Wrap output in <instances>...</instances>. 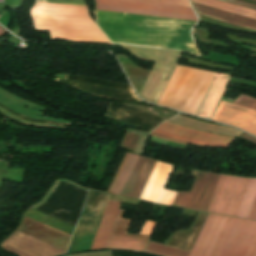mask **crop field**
Masks as SVG:
<instances>
[{"label": "crop field", "instance_id": "obj_1", "mask_svg": "<svg viewBox=\"0 0 256 256\" xmlns=\"http://www.w3.org/2000/svg\"><path fill=\"white\" fill-rule=\"evenodd\" d=\"M195 23L97 10V24L112 42L180 49L199 55L190 35Z\"/></svg>", "mask_w": 256, "mask_h": 256}, {"label": "crop field", "instance_id": "obj_2", "mask_svg": "<svg viewBox=\"0 0 256 256\" xmlns=\"http://www.w3.org/2000/svg\"><path fill=\"white\" fill-rule=\"evenodd\" d=\"M215 73L177 66L159 105L195 115ZM230 75L216 73L196 115L211 118ZM158 104V103H157Z\"/></svg>", "mask_w": 256, "mask_h": 256}, {"label": "crop field", "instance_id": "obj_3", "mask_svg": "<svg viewBox=\"0 0 256 256\" xmlns=\"http://www.w3.org/2000/svg\"><path fill=\"white\" fill-rule=\"evenodd\" d=\"M30 14L35 30H49L51 39L110 44L88 16L86 7L36 3Z\"/></svg>", "mask_w": 256, "mask_h": 256}, {"label": "crop field", "instance_id": "obj_4", "mask_svg": "<svg viewBox=\"0 0 256 256\" xmlns=\"http://www.w3.org/2000/svg\"><path fill=\"white\" fill-rule=\"evenodd\" d=\"M97 9L198 21L192 8L126 0H96Z\"/></svg>", "mask_w": 256, "mask_h": 256}, {"label": "crop field", "instance_id": "obj_5", "mask_svg": "<svg viewBox=\"0 0 256 256\" xmlns=\"http://www.w3.org/2000/svg\"><path fill=\"white\" fill-rule=\"evenodd\" d=\"M151 135L187 145L191 143L195 145L228 146L235 139L234 137L204 132L170 122L159 125Z\"/></svg>", "mask_w": 256, "mask_h": 256}, {"label": "crop field", "instance_id": "obj_6", "mask_svg": "<svg viewBox=\"0 0 256 256\" xmlns=\"http://www.w3.org/2000/svg\"><path fill=\"white\" fill-rule=\"evenodd\" d=\"M249 180L221 175L208 211L236 216Z\"/></svg>", "mask_w": 256, "mask_h": 256}, {"label": "crop field", "instance_id": "obj_7", "mask_svg": "<svg viewBox=\"0 0 256 256\" xmlns=\"http://www.w3.org/2000/svg\"><path fill=\"white\" fill-rule=\"evenodd\" d=\"M219 176L198 171L190 192H178L172 205L207 211Z\"/></svg>", "mask_w": 256, "mask_h": 256}, {"label": "crop field", "instance_id": "obj_8", "mask_svg": "<svg viewBox=\"0 0 256 256\" xmlns=\"http://www.w3.org/2000/svg\"><path fill=\"white\" fill-rule=\"evenodd\" d=\"M232 219L209 214L190 256H216Z\"/></svg>", "mask_w": 256, "mask_h": 256}, {"label": "crop field", "instance_id": "obj_9", "mask_svg": "<svg viewBox=\"0 0 256 256\" xmlns=\"http://www.w3.org/2000/svg\"><path fill=\"white\" fill-rule=\"evenodd\" d=\"M256 231V221L234 218L217 256H244Z\"/></svg>", "mask_w": 256, "mask_h": 256}, {"label": "crop field", "instance_id": "obj_10", "mask_svg": "<svg viewBox=\"0 0 256 256\" xmlns=\"http://www.w3.org/2000/svg\"><path fill=\"white\" fill-rule=\"evenodd\" d=\"M19 256H59L65 250L15 230L1 245Z\"/></svg>", "mask_w": 256, "mask_h": 256}, {"label": "crop field", "instance_id": "obj_11", "mask_svg": "<svg viewBox=\"0 0 256 256\" xmlns=\"http://www.w3.org/2000/svg\"><path fill=\"white\" fill-rule=\"evenodd\" d=\"M172 168L158 161L139 199L170 205L176 192L164 187Z\"/></svg>", "mask_w": 256, "mask_h": 256}, {"label": "crop field", "instance_id": "obj_12", "mask_svg": "<svg viewBox=\"0 0 256 256\" xmlns=\"http://www.w3.org/2000/svg\"><path fill=\"white\" fill-rule=\"evenodd\" d=\"M213 120L229 124L256 135V111L221 101Z\"/></svg>", "mask_w": 256, "mask_h": 256}, {"label": "crop field", "instance_id": "obj_13", "mask_svg": "<svg viewBox=\"0 0 256 256\" xmlns=\"http://www.w3.org/2000/svg\"><path fill=\"white\" fill-rule=\"evenodd\" d=\"M122 213V210L118 213L106 248L144 251L150 236L126 234L130 220L120 218Z\"/></svg>", "mask_w": 256, "mask_h": 256}, {"label": "crop field", "instance_id": "obj_14", "mask_svg": "<svg viewBox=\"0 0 256 256\" xmlns=\"http://www.w3.org/2000/svg\"><path fill=\"white\" fill-rule=\"evenodd\" d=\"M17 230L56 245L65 250L67 249L71 237L68 234L50 228L26 217H23L22 223L17 228Z\"/></svg>", "mask_w": 256, "mask_h": 256}, {"label": "crop field", "instance_id": "obj_15", "mask_svg": "<svg viewBox=\"0 0 256 256\" xmlns=\"http://www.w3.org/2000/svg\"><path fill=\"white\" fill-rule=\"evenodd\" d=\"M156 162L140 157L121 195L138 199Z\"/></svg>", "mask_w": 256, "mask_h": 256}, {"label": "crop field", "instance_id": "obj_16", "mask_svg": "<svg viewBox=\"0 0 256 256\" xmlns=\"http://www.w3.org/2000/svg\"><path fill=\"white\" fill-rule=\"evenodd\" d=\"M118 202L108 201L90 250L104 249L118 213Z\"/></svg>", "mask_w": 256, "mask_h": 256}, {"label": "crop field", "instance_id": "obj_17", "mask_svg": "<svg viewBox=\"0 0 256 256\" xmlns=\"http://www.w3.org/2000/svg\"><path fill=\"white\" fill-rule=\"evenodd\" d=\"M194 7L199 15L242 26L245 28L256 30V21L245 17L237 16L227 12L219 11L209 7L194 4ZM196 13V14H197Z\"/></svg>", "mask_w": 256, "mask_h": 256}, {"label": "crop field", "instance_id": "obj_18", "mask_svg": "<svg viewBox=\"0 0 256 256\" xmlns=\"http://www.w3.org/2000/svg\"><path fill=\"white\" fill-rule=\"evenodd\" d=\"M170 121L195 127V128H199L202 130L230 135L234 137H238L241 134V131L233 129L231 127L217 126V125L201 122L195 119H189L180 115H177L176 117L172 118Z\"/></svg>", "mask_w": 256, "mask_h": 256}, {"label": "crop field", "instance_id": "obj_19", "mask_svg": "<svg viewBox=\"0 0 256 256\" xmlns=\"http://www.w3.org/2000/svg\"><path fill=\"white\" fill-rule=\"evenodd\" d=\"M191 1L197 2V3H200V4H204V5H207V6H211V7H214V8H218V9H221V10H225V11H228V12H232V13H235V14H239V15H242V16H246V17H249V18L256 19V11L250 10V9H247V8H243V7H239V6H236V5H232V4H229V3L221 2V1H218V0H191Z\"/></svg>", "mask_w": 256, "mask_h": 256}, {"label": "crop field", "instance_id": "obj_20", "mask_svg": "<svg viewBox=\"0 0 256 256\" xmlns=\"http://www.w3.org/2000/svg\"><path fill=\"white\" fill-rule=\"evenodd\" d=\"M255 194H256V179H251L237 216L245 217V218L248 217Z\"/></svg>", "mask_w": 256, "mask_h": 256}, {"label": "crop field", "instance_id": "obj_21", "mask_svg": "<svg viewBox=\"0 0 256 256\" xmlns=\"http://www.w3.org/2000/svg\"><path fill=\"white\" fill-rule=\"evenodd\" d=\"M138 158H139L138 156H135V155H132V154L130 155V157H129V159H128V161H127V163H126V165H125V167L122 171V174H121V176H120V178H119V180H118V182H117V184H116L112 193L118 194V195L121 194L128 178H129V176H130V174H131V172H132V170H133V168H134V166H135V164L138 160Z\"/></svg>", "mask_w": 256, "mask_h": 256}, {"label": "crop field", "instance_id": "obj_22", "mask_svg": "<svg viewBox=\"0 0 256 256\" xmlns=\"http://www.w3.org/2000/svg\"><path fill=\"white\" fill-rule=\"evenodd\" d=\"M147 252H152L164 256H189V252L177 250L174 248L166 247L163 245L155 244V243H149L147 249Z\"/></svg>", "mask_w": 256, "mask_h": 256}, {"label": "crop field", "instance_id": "obj_23", "mask_svg": "<svg viewBox=\"0 0 256 256\" xmlns=\"http://www.w3.org/2000/svg\"><path fill=\"white\" fill-rule=\"evenodd\" d=\"M233 103L256 109V99L243 94H240Z\"/></svg>", "mask_w": 256, "mask_h": 256}, {"label": "crop field", "instance_id": "obj_24", "mask_svg": "<svg viewBox=\"0 0 256 256\" xmlns=\"http://www.w3.org/2000/svg\"><path fill=\"white\" fill-rule=\"evenodd\" d=\"M135 1H144V2H152V3H161V4H170V5L191 7L188 0H135Z\"/></svg>", "mask_w": 256, "mask_h": 256}, {"label": "crop field", "instance_id": "obj_25", "mask_svg": "<svg viewBox=\"0 0 256 256\" xmlns=\"http://www.w3.org/2000/svg\"><path fill=\"white\" fill-rule=\"evenodd\" d=\"M157 223L146 220L140 234H153Z\"/></svg>", "mask_w": 256, "mask_h": 256}, {"label": "crop field", "instance_id": "obj_26", "mask_svg": "<svg viewBox=\"0 0 256 256\" xmlns=\"http://www.w3.org/2000/svg\"><path fill=\"white\" fill-rule=\"evenodd\" d=\"M129 155L130 154H128V153L126 154V156H125V158H124V160H123V162H122V164H121V166H120V168H119V170H118V172H117V174H116V176H115V178H114V180H113V182H112V184H111V186H110V188L108 190L109 193L112 192V190H113V188H114V186H115V184H116V182H117V180H118V178L120 176V173H121V171H122V169H123V167H124L128 157H129Z\"/></svg>", "mask_w": 256, "mask_h": 256}, {"label": "crop field", "instance_id": "obj_27", "mask_svg": "<svg viewBox=\"0 0 256 256\" xmlns=\"http://www.w3.org/2000/svg\"><path fill=\"white\" fill-rule=\"evenodd\" d=\"M245 256H256V233Z\"/></svg>", "mask_w": 256, "mask_h": 256}, {"label": "crop field", "instance_id": "obj_28", "mask_svg": "<svg viewBox=\"0 0 256 256\" xmlns=\"http://www.w3.org/2000/svg\"><path fill=\"white\" fill-rule=\"evenodd\" d=\"M221 1L229 2V3H232V4H236V5H240V6H243V7H247V8H251V9L256 10L255 5L244 3V2H241V1H237V0H221Z\"/></svg>", "mask_w": 256, "mask_h": 256}, {"label": "crop field", "instance_id": "obj_29", "mask_svg": "<svg viewBox=\"0 0 256 256\" xmlns=\"http://www.w3.org/2000/svg\"><path fill=\"white\" fill-rule=\"evenodd\" d=\"M248 218L256 219V197Z\"/></svg>", "mask_w": 256, "mask_h": 256}, {"label": "crop field", "instance_id": "obj_30", "mask_svg": "<svg viewBox=\"0 0 256 256\" xmlns=\"http://www.w3.org/2000/svg\"><path fill=\"white\" fill-rule=\"evenodd\" d=\"M4 34V31L0 28V36Z\"/></svg>", "mask_w": 256, "mask_h": 256}]
</instances>
